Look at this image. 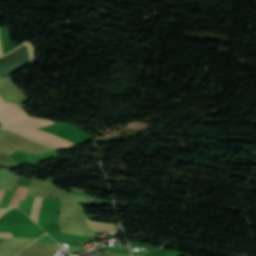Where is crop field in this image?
<instances>
[{
    "instance_id": "1",
    "label": "crop field",
    "mask_w": 256,
    "mask_h": 256,
    "mask_svg": "<svg viewBox=\"0 0 256 256\" xmlns=\"http://www.w3.org/2000/svg\"><path fill=\"white\" fill-rule=\"evenodd\" d=\"M8 127L15 129L28 136H31L33 138L44 141L46 143H50L58 146H75L74 144L78 145L86 141L87 139L92 138L91 135L85 133L79 128L66 123H57V124L50 125L48 127H41L39 129L58 135L74 144L58 136L39 130L37 128L25 129V128L12 127V126H8Z\"/></svg>"
},
{
    "instance_id": "2",
    "label": "crop field",
    "mask_w": 256,
    "mask_h": 256,
    "mask_svg": "<svg viewBox=\"0 0 256 256\" xmlns=\"http://www.w3.org/2000/svg\"><path fill=\"white\" fill-rule=\"evenodd\" d=\"M0 107L14 115L16 118L24 122L30 127H37V126H43L50 123H53L51 121L35 118L28 116V114L19 106L13 105V104H0ZM0 108V121L5 125H15V126H22V127H28L15 117H13L11 114L6 112Z\"/></svg>"
},
{
    "instance_id": "3",
    "label": "crop field",
    "mask_w": 256,
    "mask_h": 256,
    "mask_svg": "<svg viewBox=\"0 0 256 256\" xmlns=\"http://www.w3.org/2000/svg\"><path fill=\"white\" fill-rule=\"evenodd\" d=\"M19 176L11 175L4 170H0V189H13Z\"/></svg>"
},
{
    "instance_id": "4",
    "label": "crop field",
    "mask_w": 256,
    "mask_h": 256,
    "mask_svg": "<svg viewBox=\"0 0 256 256\" xmlns=\"http://www.w3.org/2000/svg\"><path fill=\"white\" fill-rule=\"evenodd\" d=\"M25 189L26 187L18 185L7 207H17L20 199H23L24 197ZM27 189H26V193H27ZM26 193H25V197H26Z\"/></svg>"
},
{
    "instance_id": "5",
    "label": "crop field",
    "mask_w": 256,
    "mask_h": 256,
    "mask_svg": "<svg viewBox=\"0 0 256 256\" xmlns=\"http://www.w3.org/2000/svg\"><path fill=\"white\" fill-rule=\"evenodd\" d=\"M87 222L91 226L102 227V228H107L112 230H114V227H115V224H111V223L98 222V221H93L88 219H87Z\"/></svg>"
},
{
    "instance_id": "6",
    "label": "crop field",
    "mask_w": 256,
    "mask_h": 256,
    "mask_svg": "<svg viewBox=\"0 0 256 256\" xmlns=\"http://www.w3.org/2000/svg\"><path fill=\"white\" fill-rule=\"evenodd\" d=\"M0 237H12L11 233H0Z\"/></svg>"
},
{
    "instance_id": "7",
    "label": "crop field",
    "mask_w": 256,
    "mask_h": 256,
    "mask_svg": "<svg viewBox=\"0 0 256 256\" xmlns=\"http://www.w3.org/2000/svg\"><path fill=\"white\" fill-rule=\"evenodd\" d=\"M92 228V227H91ZM93 229H96V230H101V231H106V232H110L112 233L113 231H110V230H104V229H98V228H93Z\"/></svg>"
},
{
    "instance_id": "8",
    "label": "crop field",
    "mask_w": 256,
    "mask_h": 256,
    "mask_svg": "<svg viewBox=\"0 0 256 256\" xmlns=\"http://www.w3.org/2000/svg\"><path fill=\"white\" fill-rule=\"evenodd\" d=\"M4 102V100L2 99V97L0 96V103Z\"/></svg>"
}]
</instances>
